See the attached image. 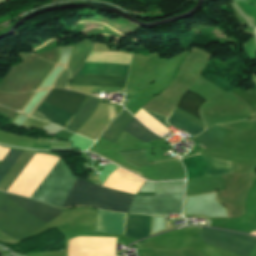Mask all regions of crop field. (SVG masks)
Listing matches in <instances>:
<instances>
[{"mask_svg": "<svg viewBox=\"0 0 256 256\" xmlns=\"http://www.w3.org/2000/svg\"><path fill=\"white\" fill-rule=\"evenodd\" d=\"M62 211L34 200L0 192V230L19 240Z\"/></svg>", "mask_w": 256, "mask_h": 256, "instance_id": "8a807250", "label": "crop field"}, {"mask_svg": "<svg viewBox=\"0 0 256 256\" xmlns=\"http://www.w3.org/2000/svg\"><path fill=\"white\" fill-rule=\"evenodd\" d=\"M130 57V55L120 53L90 52L86 62H101L129 65ZM101 63H85L82 70L80 69L81 71L78 74H97L127 77L129 66ZM97 75H77L70 85L124 88L127 80V78Z\"/></svg>", "mask_w": 256, "mask_h": 256, "instance_id": "ac0d7876", "label": "crop field"}, {"mask_svg": "<svg viewBox=\"0 0 256 256\" xmlns=\"http://www.w3.org/2000/svg\"><path fill=\"white\" fill-rule=\"evenodd\" d=\"M133 195L102 188L76 179L62 208L89 205L99 209L127 213Z\"/></svg>", "mask_w": 256, "mask_h": 256, "instance_id": "34b2d1b8", "label": "crop field"}, {"mask_svg": "<svg viewBox=\"0 0 256 256\" xmlns=\"http://www.w3.org/2000/svg\"><path fill=\"white\" fill-rule=\"evenodd\" d=\"M85 96L86 94L74 91L53 89L44 100L75 114ZM45 101H42L32 117L54 123L65 129L71 121L73 114Z\"/></svg>", "mask_w": 256, "mask_h": 256, "instance_id": "412701ff", "label": "crop field"}, {"mask_svg": "<svg viewBox=\"0 0 256 256\" xmlns=\"http://www.w3.org/2000/svg\"><path fill=\"white\" fill-rule=\"evenodd\" d=\"M75 180L69 168L60 158L31 198L62 207Z\"/></svg>", "mask_w": 256, "mask_h": 256, "instance_id": "f4fd0767", "label": "crop field"}, {"mask_svg": "<svg viewBox=\"0 0 256 256\" xmlns=\"http://www.w3.org/2000/svg\"><path fill=\"white\" fill-rule=\"evenodd\" d=\"M205 102V100L187 90L179 99L176 107L182 109L183 111L189 113L190 115L196 117L197 119L201 120L199 113H198V108ZM148 114H150L153 118H155L157 121H159L162 125H164L166 128L169 127L168 124L176 127L177 129H181L183 128L185 132H187L188 134H190L192 137L198 135L199 133H201L202 131H204V129L196 126L195 124L187 121L186 119L171 113L170 116L167 118V123L166 124V117H163L161 115L152 113L150 111L145 110ZM202 121V120H201Z\"/></svg>", "mask_w": 256, "mask_h": 256, "instance_id": "dd49c442", "label": "crop field"}, {"mask_svg": "<svg viewBox=\"0 0 256 256\" xmlns=\"http://www.w3.org/2000/svg\"><path fill=\"white\" fill-rule=\"evenodd\" d=\"M183 194L165 196H136L128 213L158 215L181 214Z\"/></svg>", "mask_w": 256, "mask_h": 256, "instance_id": "e52e79f7", "label": "crop field"}, {"mask_svg": "<svg viewBox=\"0 0 256 256\" xmlns=\"http://www.w3.org/2000/svg\"><path fill=\"white\" fill-rule=\"evenodd\" d=\"M201 237L207 244L242 256H247L256 245V238L208 228L201 229Z\"/></svg>", "mask_w": 256, "mask_h": 256, "instance_id": "d8731c3e", "label": "crop field"}, {"mask_svg": "<svg viewBox=\"0 0 256 256\" xmlns=\"http://www.w3.org/2000/svg\"><path fill=\"white\" fill-rule=\"evenodd\" d=\"M192 153L194 152H191L189 154H192ZM197 157L203 167L205 176H220V175L229 174L230 164L227 163L226 161H220V160H217L205 155H201V154H197ZM197 157L196 155H194V156L181 159L187 171V178L204 176L202 167Z\"/></svg>", "mask_w": 256, "mask_h": 256, "instance_id": "5a996713", "label": "crop field"}, {"mask_svg": "<svg viewBox=\"0 0 256 256\" xmlns=\"http://www.w3.org/2000/svg\"><path fill=\"white\" fill-rule=\"evenodd\" d=\"M125 214L98 209L96 231L123 234Z\"/></svg>", "mask_w": 256, "mask_h": 256, "instance_id": "3316defc", "label": "crop field"}, {"mask_svg": "<svg viewBox=\"0 0 256 256\" xmlns=\"http://www.w3.org/2000/svg\"><path fill=\"white\" fill-rule=\"evenodd\" d=\"M100 100V98L87 95L81 108L75 114L74 118L72 119L66 130L75 133L81 127V125L88 120L89 116L92 115L94 110L97 108Z\"/></svg>", "mask_w": 256, "mask_h": 256, "instance_id": "28ad6ade", "label": "crop field"}, {"mask_svg": "<svg viewBox=\"0 0 256 256\" xmlns=\"http://www.w3.org/2000/svg\"><path fill=\"white\" fill-rule=\"evenodd\" d=\"M132 118L133 117L124 109L118 118L108 126L101 138L116 143L115 140L117 136L124 130Z\"/></svg>", "mask_w": 256, "mask_h": 256, "instance_id": "d1516ede", "label": "crop field"}, {"mask_svg": "<svg viewBox=\"0 0 256 256\" xmlns=\"http://www.w3.org/2000/svg\"><path fill=\"white\" fill-rule=\"evenodd\" d=\"M223 135H224V131L214 126L207 129L204 133L200 134L194 139H196L206 148L219 147V146H222Z\"/></svg>", "mask_w": 256, "mask_h": 256, "instance_id": "22f410ed", "label": "crop field"}, {"mask_svg": "<svg viewBox=\"0 0 256 256\" xmlns=\"http://www.w3.org/2000/svg\"><path fill=\"white\" fill-rule=\"evenodd\" d=\"M131 134L132 136L136 137L142 142H150L154 139H157L155 134L148 131L140 122H138L135 118L128 124L126 129L124 130Z\"/></svg>", "mask_w": 256, "mask_h": 256, "instance_id": "cbeb9de0", "label": "crop field"}, {"mask_svg": "<svg viewBox=\"0 0 256 256\" xmlns=\"http://www.w3.org/2000/svg\"><path fill=\"white\" fill-rule=\"evenodd\" d=\"M120 153L124 160H126L136 166L149 165L143 150L125 151V152H120Z\"/></svg>", "mask_w": 256, "mask_h": 256, "instance_id": "5142ce71", "label": "crop field"}, {"mask_svg": "<svg viewBox=\"0 0 256 256\" xmlns=\"http://www.w3.org/2000/svg\"><path fill=\"white\" fill-rule=\"evenodd\" d=\"M22 151L11 149L7 156L3 159L0 163V180L8 171V169L12 166L18 156L21 154Z\"/></svg>", "mask_w": 256, "mask_h": 256, "instance_id": "d9b57169", "label": "crop field"}, {"mask_svg": "<svg viewBox=\"0 0 256 256\" xmlns=\"http://www.w3.org/2000/svg\"><path fill=\"white\" fill-rule=\"evenodd\" d=\"M109 109H110V118H111V121H112L115 118L114 107L109 106Z\"/></svg>", "mask_w": 256, "mask_h": 256, "instance_id": "733c2abd", "label": "crop field"}, {"mask_svg": "<svg viewBox=\"0 0 256 256\" xmlns=\"http://www.w3.org/2000/svg\"><path fill=\"white\" fill-rule=\"evenodd\" d=\"M253 234H256V232H254Z\"/></svg>", "mask_w": 256, "mask_h": 256, "instance_id": "4a817a6b", "label": "crop field"}, {"mask_svg": "<svg viewBox=\"0 0 256 256\" xmlns=\"http://www.w3.org/2000/svg\"><path fill=\"white\" fill-rule=\"evenodd\" d=\"M114 172V171H113Z\"/></svg>", "mask_w": 256, "mask_h": 256, "instance_id": "bc2a9ffb", "label": "crop field"}]
</instances>
